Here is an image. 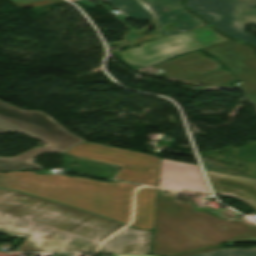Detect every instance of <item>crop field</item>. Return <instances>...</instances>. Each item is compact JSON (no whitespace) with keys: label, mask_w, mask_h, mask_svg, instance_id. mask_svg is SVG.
<instances>
[{"label":"crop field","mask_w":256,"mask_h":256,"mask_svg":"<svg viewBox=\"0 0 256 256\" xmlns=\"http://www.w3.org/2000/svg\"><path fill=\"white\" fill-rule=\"evenodd\" d=\"M123 226L63 204L0 189V233L26 237L19 251L95 252L102 239Z\"/></svg>","instance_id":"8a807250"},{"label":"crop field","mask_w":256,"mask_h":256,"mask_svg":"<svg viewBox=\"0 0 256 256\" xmlns=\"http://www.w3.org/2000/svg\"><path fill=\"white\" fill-rule=\"evenodd\" d=\"M138 185L105 183L77 176L36 175L32 172H0V187L63 202L99 213L126 224L131 218L132 191Z\"/></svg>","instance_id":"ac0d7876"},{"label":"crop field","mask_w":256,"mask_h":256,"mask_svg":"<svg viewBox=\"0 0 256 256\" xmlns=\"http://www.w3.org/2000/svg\"><path fill=\"white\" fill-rule=\"evenodd\" d=\"M176 196L158 193L153 254H179L220 242H256V228L195 212L190 203L175 201Z\"/></svg>","instance_id":"34b2d1b8"},{"label":"crop field","mask_w":256,"mask_h":256,"mask_svg":"<svg viewBox=\"0 0 256 256\" xmlns=\"http://www.w3.org/2000/svg\"><path fill=\"white\" fill-rule=\"evenodd\" d=\"M67 154L98 160L121 167L119 180L156 186L160 157L128 151L85 141L75 145Z\"/></svg>","instance_id":"412701ff"},{"label":"crop field","mask_w":256,"mask_h":256,"mask_svg":"<svg viewBox=\"0 0 256 256\" xmlns=\"http://www.w3.org/2000/svg\"><path fill=\"white\" fill-rule=\"evenodd\" d=\"M8 131L26 134L59 152L84 141L64 130L42 112L21 110L0 101V134Z\"/></svg>","instance_id":"f4fd0767"},{"label":"crop field","mask_w":256,"mask_h":256,"mask_svg":"<svg viewBox=\"0 0 256 256\" xmlns=\"http://www.w3.org/2000/svg\"><path fill=\"white\" fill-rule=\"evenodd\" d=\"M224 40L227 39L206 26L143 43L141 48L123 51L120 54L128 64L144 67L163 61L175 54L196 50Z\"/></svg>","instance_id":"dd49c442"},{"label":"crop field","mask_w":256,"mask_h":256,"mask_svg":"<svg viewBox=\"0 0 256 256\" xmlns=\"http://www.w3.org/2000/svg\"><path fill=\"white\" fill-rule=\"evenodd\" d=\"M186 6L226 35L256 45V38L243 31L256 24V0H186Z\"/></svg>","instance_id":"e52e79f7"},{"label":"crop field","mask_w":256,"mask_h":256,"mask_svg":"<svg viewBox=\"0 0 256 256\" xmlns=\"http://www.w3.org/2000/svg\"><path fill=\"white\" fill-rule=\"evenodd\" d=\"M205 50L242 81L238 86L256 103V58L252 56V48L229 40Z\"/></svg>","instance_id":"d8731c3e"},{"label":"crop field","mask_w":256,"mask_h":256,"mask_svg":"<svg viewBox=\"0 0 256 256\" xmlns=\"http://www.w3.org/2000/svg\"><path fill=\"white\" fill-rule=\"evenodd\" d=\"M156 66L166 76L182 79L189 78V80L207 84H224L234 80L232 74L227 70L197 75L220 67L216 61L207 58L200 52L177 57L171 61L156 64Z\"/></svg>","instance_id":"5a996713"},{"label":"crop field","mask_w":256,"mask_h":256,"mask_svg":"<svg viewBox=\"0 0 256 256\" xmlns=\"http://www.w3.org/2000/svg\"><path fill=\"white\" fill-rule=\"evenodd\" d=\"M160 187L177 192L187 189L209 193L197 165L164 159L161 164Z\"/></svg>","instance_id":"3316defc"},{"label":"crop field","mask_w":256,"mask_h":256,"mask_svg":"<svg viewBox=\"0 0 256 256\" xmlns=\"http://www.w3.org/2000/svg\"><path fill=\"white\" fill-rule=\"evenodd\" d=\"M205 171L216 194L239 199L256 210V180Z\"/></svg>","instance_id":"28ad6ade"},{"label":"crop field","mask_w":256,"mask_h":256,"mask_svg":"<svg viewBox=\"0 0 256 256\" xmlns=\"http://www.w3.org/2000/svg\"><path fill=\"white\" fill-rule=\"evenodd\" d=\"M151 235L127 227L106 241L98 253L149 254Z\"/></svg>","instance_id":"d1516ede"},{"label":"crop field","mask_w":256,"mask_h":256,"mask_svg":"<svg viewBox=\"0 0 256 256\" xmlns=\"http://www.w3.org/2000/svg\"><path fill=\"white\" fill-rule=\"evenodd\" d=\"M156 16L158 24L177 21L182 25V30H191L203 27L206 24L197 17L186 12L179 6V0H140ZM163 15V17H159Z\"/></svg>","instance_id":"22f410ed"},{"label":"crop field","mask_w":256,"mask_h":256,"mask_svg":"<svg viewBox=\"0 0 256 256\" xmlns=\"http://www.w3.org/2000/svg\"><path fill=\"white\" fill-rule=\"evenodd\" d=\"M156 193L155 188H142L137 191L135 220L131 226L153 230Z\"/></svg>","instance_id":"cbeb9de0"},{"label":"crop field","mask_w":256,"mask_h":256,"mask_svg":"<svg viewBox=\"0 0 256 256\" xmlns=\"http://www.w3.org/2000/svg\"><path fill=\"white\" fill-rule=\"evenodd\" d=\"M48 152L57 151L47 145L27 151L17 157H0V170L42 169L38 164L32 163V159Z\"/></svg>","instance_id":"5142ce71"},{"label":"crop field","mask_w":256,"mask_h":256,"mask_svg":"<svg viewBox=\"0 0 256 256\" xmlns=\"http://www.w3.org/2000/svg\"><path fill=\"white\" fill-rule=\"evenodd\" d=\"M114 7L121 10V13L129 16L138 21H147L155 19L146 8L141 5L137 0H105Z\"/></svg>","instance_id":"d9b57169"},{"label":"crop field","mask_w":256,"mask_h":256,"mask_svg":"<svg viewBox=\"0 0 256 256\" xmlns=\"http://www.w3.org/2000/svg\"><path fill=\"white\" fill-rule=\"evenodd\" d=\"M194 256H256V248L251 249H221Z\"/></svg>","instance_id":"733c2abd"},{"label":"crop field","mask_w":256,"mask_h":256,"mask_svg":"<svg viewBox=\"0 0 256 256\" xmlns=\"http://www.w3.org/2000/svg\"><path fill=\"white\" fill-rule=\"evenodd\" d=\"M14 5H16L19 9L30 7V6H36V5H43L48 3H53L57 1H64V0H40V1H34V2H26L24 0H9Z\"/></svg>","instance_id":"4a817a6b"},{"label":"crop field","mask_w":256,"mask_h":256,"mask_svg":"<svg viewBox=\"0 0 256 256\" xmlns=\"http://www.w3.org/2000/svg\"><path fill=\"white\" fill-rule=\"evenodd\" d=\"M163 27H164V25H158V31H159V33H160L161 35H163L164 37L182 32L181 26H180V24H178V23H177V25H176V32H165V31L162 30Z\"/></svg>","instance_id":"bc2a9ffb"},{"label":"crop field","mask_w":256,"mask_h":256,"mask_svg":"<svg viewBox=\"0 0 256 256\" xmlns=\"http://www.w3.org/2000/svg\"><path fill=\"white\" fill-rule=\"evenodd\" d=\"M216 249H221V248H211V249H207V250H203V251H198V252H190V253L182 254L180 256H190V255L199 254V253H203V252H208V251H212V250H216Z\"/></svg>","instance_id":"214f88e0"},{"label":"crop field","mask_w":256,"mask_h":256,"mask_svg":"<svg viewBox=\"0 0 256 256\" xmlns=\"http://www.w3.org/2000/svg\"><path fill=\"white\" fill-rule=\"evenodd\" d=\"M112 256H151V255H122V254H112Z\"/></svg>","instance_id":"92a150f3"},{"label":"crop field","mask_w":256,"mask_h":256,"mask_svg":"<svg viewBox=\"0 0 256 256\" xmlns=\"http://www.w3.org/2000/svg\"><path fill=\"white\" fill-rule=\"evenodd\" d=\"M55 256H67V254H56Z\"/></svg>","instance_id":"dafd665d"}]
</instances>
